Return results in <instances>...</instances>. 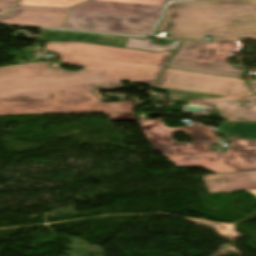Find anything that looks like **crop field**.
Here are the masks:
<instances>
[{
    "instance_id": "7",
    "label": "crop field",
    "mask_w": 256,
    "mask_h": 256,
    "mask_svg": "<svg viewBox=\"0 0 256 256\" xmlns=\"http://www.w3.org/2000/svg\"><path fill=\"white\" fill-rule=\"evenodd\" d=\"M66 10L17 6L13 14L0 16V23L61 28Z\"/></svg>"
},
{
    "instance_id": "9",
    "label": "crop field",
    "mask_w": 256,
    "mask_h": 256,
    "mask_svg": "<svg viewBox=\"0 0 256 256\" xmlns=\"http://www.w3.org/2000/svg\"><path fill=\"white\" fill-rule=\"evenodd\" d=\"M202 179L209 193L247 190L256 196V171L220 174Z\"/></svg>"
},
{
    "instance_id": "14",
    "label": "crop field",
    "mask_w": 256,
    "mask_h": 256,
    "mask_svg": "<svg viewBox=\"0 0 256 256\" xmlns=\"http://www.w3.org/2000/svg\"><path fill=\"white\" fill-rule=\"evenodd\" d=\"M109 120H136L134 112L105 113Z\"/></svg>"
},
{
    "instance_id": "12",
    "label": "crop field",
    "mask_w": 256,
    "mask_h": 256,
    "mask_svg": "<svg viewBox=\"0 0 256 256\" xmlns=\"http://www.w3.org/2000/svg\"><path fill=\"white\" fill-rule=\"evenodd\" d=\"M218 128H221L239 137L256 138V123L246 124L244 122H225Z\"/></svg>"
},
{
    "instance_id": "17",
    "label": "crop field",
    "mask_w": 256,
    "mask_h": 256,
    "mask_svg": "<svg viewBox=\"0 0 256 256\" xmlns=\"http://www.w3.org/2000/svg\"><path fill=\"white\" fill-rule=\"evenodd\" d=\"M216 131H218L220 134H223V135L234 136V135H232V134H230V133H228V132H225V131H223V130H220V129H218V130H216Z\"/></svg>"
},
{
    "instance_id": "3",
    "label": "crop field",
    "mask_w": 256,
    "mask_h": 256,
    "mask_svg": "<svg viewBox=\"0 0 256 256\" xmlns=\"http://www.w3.org/2000/svg\"><path fill=\"white\" fill-rule=\"evenodd\" d=\"M158 28L177 38L256 39V0L172 3Z\"/></svg>"
},
{
    "instance_id": "18",
    "label": "crop field",
    "mask_w": 256,
    "mask_h": 256,
    "mask_svg": "<svg viewBox=\"0 0 256 256\" xmlns=\"http://www.w3.org/2000/svg\"><path fill=\"white\" fill-rule=\"evenodd\" d=\"M253 89V88H252ZM255 92H256V89H253ZM256 100H252V101H247V103H250V102H255Z\"/></svg>"
},
{
    "instance_id": "6",
    "label": "crop field",
    "mask_w": 256,
    "mask_h": 256,
    "mask_svg": "<svg viewBox=\"0 0 256 256\" xmlns=\"http://www.w3.org/2000/svg\"><path fill=\"white\" fill-rule=\"evenodd\" d=\"M237 47L235 41H184L170 63L244 73L225 60Z\"/></svg>"
},
{
    "instance_id": "15",
    "label": "crop field",
    "mask_w": 256,
    "mask_h": 256,
    "mask_svg": "<svg viewBox=\"0 0 256 256\" xmlns=\"http://www.w3.org/2000/svg\"><path fill=\"white\" fill-rule=\"evenodd\" d=\"M19 0H0V15L9 13Z\"/></svg>"
},
{
    "instance_id": "2",
    "label": "crop field",
    "mask_w": 256,
    "mask_h": 256,
    "mask_svg": "<svg viewBox=\"0 0 256 256\" xmlns=\"http://www.w3.org/2000/svg\"><path fill=\"white\" fill-rule=\"evenodd\" d=\"M153 150L177 167H202L214 174L256 170V141L228 138L229 151L215 152L208 146L216 143L213 131L202 126L165 127L161 120L138 121ZM184 132L191 143H177L171 134Z\"/></svg>"
},
{
    "instance_id": "16",
    "label": "crop field",
    "mask_w": 256,
    "mask_h": 256,
    "mask_svg": "<svg viewBox=\"0 0 256 256\" xmlns=\"http://www.w3.org/2000/svg\"><path fill=\"white\" fill-rule=\"evenodd\" d=\"M170 68H178V69H186V70H194V71H202V72H210V73H217V74H224V75H231V76H238L242 77L241 74H233V73H225V72H218V71H211V70H204V69H196V68H189V67H182V66H174L168 65Z\"/></svg>"
},
{
    "instance_id": "5",
    "label": "crop field",
    "mask_w": 256,
    "mask_h": 256,
    "mask_svg": "<svg viewBox=\"0 0 256 256\" xmlns=\"http://www.w3.org/2000/svg\"><path fill=\"white\" fill-rule=\"evenodd\" d=\"M155 90L166 91L171 102L255 95L242 79L171 69L164 70Z\"/></svg>"
},
{
    "instance_id": "20",
    "label": "crop field",
    "mask_w": 256,
    "mask_h": 256,
    "mask_svg": "<svg viewBox=\"0 0 256 256\" xmlns=\"http://www.w3.org/2000/svg\"><path fill=\"white\" fill-rule=\"evenodd\" d=\"M157 31H160V30H157ZM160 32H162V31H160ZM171 38H174V37L171 36Z\"/></svg>"
},
{
    "instance_id": "13",
    "label": "crop field",
    "mask_w": 256,
    "mask_h": 256,
    "mask_svg": "<svg viewBox=\"0 0 256 256\" xmlns=\"http://www.w3.org/2000/svg\"><path fill=\"white\" fill-rule=\"evenodd\" d=\"M84 0H21L19 5L68 8L69 6Z\"/></svg>"
},
{
    "instance_id": "1",
    "label": "crop field",
    "mask_w": 256,
    "mask_h": 256,
    "mask_svg": "<svg viewBox=\"0 0 256 256\" xmlns=\"http://www.w3.org/2000/svg\"><path fill=\"white\" fill-rule=\"evenodd\" d=\"M68 72L46 62L0 68V114L134 111L132 101L100 103L92 90L122 86L119 78L154 83L171 52L150 53L83 43H46Z\"/></svg>"
},
{
    "instance_id": "11",
    "label": "crop field",
    "mask_w": 256,
    "mask_h": 256,
    "mask_svg": "<svg viewBox=\"0 0 256 256\" xmlns=\"http://www.w3.org/2000/svg\"><path fill=\"white\" fill-rule=\"evenodd\" d=\"M151 42H152L151 39L128 37L124 47L151 50V51H162V50L173 51L180 44V41L177 42V44H167V45H156V44H151Z\"/></svg>"
},
{
    "instance_id": "10",
    "label": "crop field",
    "mask_w": 256,
    "mask_h": 256,
    "mask_svg": "<svg viewBox=\"0 0 256 256\" xmlns=\"http://www.w3.org/2000/svg\"><path fill=\"white\" fill-rule=\"evenodd\" d=\"M126 36L76 33L44 29L38 41H83L123 47Z\"/></svg>"
},
{
    "instance_id": "8",
    "label": "crop field",
    "mask_w": 256,
    "mask_h": 256,
    "mask_svg": "<svg viewBox=\"0 0 256 256\" xmlns=\"http://www.w3.org/2000/svg\"><path fill=\"white\" fill-rule=\"evenodd\" d=\"M251 87L256 88L255 81H246ZM256 99L254 96L206 99L187 101L188 104L208 106L215 105L220 116L228 120L256 121V102L247 104L245 100Z\"/></svg>"
},
{
    "instance_id": "4",
    "label": "crop field",
    "mask_w": 256,
    "mask_h": 256,
    "mask_svg": "<svg viewBox=\"0 0 256 256\" xmlns=\"http://www.w3.org/2000/svg\"><path fill=\"white\" fill-rule=\"evenodd\" d=\"M168 0H90L70 8L64 28L147 35Z\"/></svg>"
},
{
    "instance_id": "19",
    "label": "crop field",
    "mask_w": 256,
    "mask_h": 256,
    "mask_svg": "<svg viewBox=\"0 0 256 256\" xmlns=\"http://www.w3.org/2000/svg\"><path fill=\"white\" fill-rule=\"evenodd\" d=\"M209 176H214V175H209ZM202 177H208V176H202Z\"/></svg>"
}]
</instances>
